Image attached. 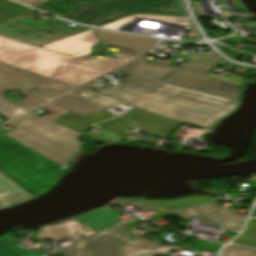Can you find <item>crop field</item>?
I'll return each mask as SVG.
<instances>
[{"mask_svg":"<svg viewBox=\"0 0 256 256\" xmlns=\"http://www.w3.org/2000/svg\"><path fill=\"white\" fill-rule=\"evenodd\" d=\"M117 83L121 84L118 88L86 85L74 93L105 108L123 103L206 129H212L222 117L237 107L228 104L229 100L135 76Z\"/></svg>","mask_w":256,"mask_h":256,"instance_id":"8a807250","label":"crop field"},{"mask_svg":"<svg viewBox=\"0 0 256 256\" xmlns=\"http://www.w3.org/2000/svg\"><path fill=\"white\" fill-rule=\"evenodd\" d=\"M0 61L79 86L129 61L71 58L0 36Z\"/></svg>","mask_w":256,"mask_h":256,"instance_id":"ac0d7876","label":"crop field"},{"mask_svg":"<svg viewBox=\"0 0 256 256\" xmlns=\"http://www.w3.org/2000/svg\"><path fill=\"white\" fill-rule=\"evenodd\" d=\"M33 7L97 27L137 13L185 16L180 0H45Z\"/></svg>","mask_w":256,"mask_h":256,"instance_id":"34b2d1b8","label":"crop field"},{"mask_svg":"<svg viewBox=\"0 0 256 256\" xmlns=\"http://www.w3.org/2000/svg\"><path fill=\"white\" fill-rule=\"evenodd\" d=\"M6 137L0 134V172L34 197L48 191L63 170L58 164Z\"/></svg>","mask_w":256,"mask_h":256,"instance_id":"412701ff","label":"crop field"},{"mask_svg":"<svg viewBox=\"0 0 256 256\" xmlns=\"http://www.w3.org/2000/svg\"><path fill=\"white\" fill-rule=\"evenodd\" d=\"M38 87L40 89L35 92L52 99L75 86L0 62V99L20 107L26 111L48 101L47 99L28 91L22 96L26 97L22 101L16 103L5 97L8 90L24 91Z\"/></svg>","mask_w":256,"mask_h":256,"instance_id":"f4fd0767","label":"crop field"},{"mask_svg":"<svg viewBox=\"0 0 256 256\" xmlns=\"http://www.w3.org/2000/svg\"><path fill=\"white\" fill-rule=\"evenodd\" d=\"M36 23L22 15L0 23V34L24 42L46 45L74 34L91 30L90 27H69L68 22L50 18Z\"/></svg>","mask_w":256,"mask_h":256,"instance_id":"dd49c442","label":"crop field"},{"mask_svg":"<svg viewBox=\"0 0 256 256\" xmlns=\"http://www.w3.org/2000/svg\"><path fill=\"white\" fill-rule=\"evenodd\" d=\"M221 58L213 51L202 58L193 56L187 65L168 83L233 99L238 96V84L203 76Z\"/></svg>","mask_w":256,"mask_h":256,"instance_id":"e52e79f7","label":"crop field"},{"mask_svg":"<svg viewBox=\"0 0 256 256\" xmlns=\"http://www.w3.org/2000/svg\"><path fill=\"white\" fill-rule=\"evenodd\" d=\"M7 124L17 128L6 134L7 136L26 144V146L60 164H65L70 158L78 153L77 149L17 119Z\"/></svg>","mask_w":256,"mask_h":256,"instance_id":"d8731c3e","label":"crop field"},{"mask_svg":"<svg viewBox=\"0 0 256 256\" xmlns=\"http://www.w3.org/2000/svg\"><path fill=\"white\" fill-rule=\"evenodd\" d=\"M129 239L131 238L128 231L123 229L121 226H116L64 248L60 250V252H62L65 256H87L112 242L121 244Z\"/></svg>","mask_w":256,"mask_h":256,"instance_id":"5a996713","label":"crop field"},{"mask_svg":"<svg viewBox=\"0 0 256 256\" xmlns=\"http://www.w3.org/2000/svg\"><path fill=\"white\" fill-rule=\"evenodd\" d=\"M102 44L111 45L134 51L133 56L140 57L153 50L159 40L132 36L127 34L103 31L95 29ZM119 53L130 55V51L119 49Z\"/></svg>","mask_w":256,"mask_h":256,"instance_id":"3316defc","label":"crop field"},{"mask_svg":"<svg viewBox=\"0 0 256 256\" xmlns=\"http://www.w3.org/2000/svg\"><path fill=\"white\" fill-rule=\"evenodd\" d=\"M184 57L185 54L177 53L168 60L157 59L153 64L144 63L141 61H135L116 72L125 73L129 75H135L150 80L165 83L178 69L168 67L176 57Z\"/></svg>","mask_w":256,"mask_h":256,"instance_id":"28ad6ade","label":"crop field"},{"mask_svg":"<svg viewBox=\"0 0 256 256\" xmlns=\"http://www.w3.org/2000/svg\"><path fill=\"white\" fill-rule=\"evenodd\" d=\"M120 116L136 124L142 129L158 136H165L182 122L166 118L141 109H133L129 114L124 113Z\"/></svg>","mask_w":256,"mask_h":256,"instance_id":"d1516ede","label":"crop field"},{"mask_svg":"<svg viewBox=\"0 0 256 256\" xmlns=\"http://www.w3.org/2000/svg\"><path fill=\"white\" fill-rule=\"evenodd\" d=\"M89 229L84 224L70 218L39 229V236L40 240L50 239L55 243L65 239L74 242L81 237L93 233Z\"/></svg>","mask_w":256,"mask_h":256,"instance_id":"22f410ed","label":"crop field"},{"mask_svg":"<svg viewBox=\"0 0 256 256\" xmlns=\"http://www.w3.org/2000/svg\"><path fill=\"white\" fill-rule=\"evenodd\" d=\"M129 205H143L155 209L173 212L183 217L185 221L188 220V217L191 216L220 211L217 203L180 207L175 200L140 201L125 204V206Z\"/></svg>","mask_w":256,"mask_h":256,"instance_id":"cbeb9de0","label":"crop field"},{"mask_svg":"<svg viewBox=\"0 0 256 256\" xmlns=\"http://www.w3.org/2000/svg\"><path fill=\"white\" fill-rule=\"evenodd\" d=\"M92 35L93 30L87 31L41 48L75 58L86 56L91 52Z\"/></svg>","mask_w":256,"mask_h":256,"instance_id":"5142ce71","label":"crop field"},{"mask_svg":"<svg viewBox=\"0 0 256 256\" xmlns=\"http://www.w3.org/2000/svg\"><path fill=\"white\" fill-rule=\"evenodd\" d=\"M18 119L76 147L80 148L82 145L78 142L77 138L79 133L73 132L59 124L52 121H48L42 117H39L31 112L19 117Z\"/></svg>","mask_w":256,"mask_h":256,"instance_id":"d9b57169","label":"crop field"},{"mask_svg":"<svg viewBox=\"0 0 256 256\" xmlns=\"http://www.w3.org/2000/svg\"><path fill=\"white\" fill-rule=\"evenodd\" d=\"M140 20L189 25L186 17L137 14L135 16L101 26V28L129 32L133 25Z\"/></svg>","mask_w":256,"mask_h":256,"instance_id":"733c2abd","label":"crop field"},{"mask_svg":"<svg viewBox=\"0 0 256 256\" xmlns=\"http://www.w3.org/2000/svg\"><path fill=\"white\" fill-rule=\"evenodd\" d=\"M120 215V213L108 208L107 206H104L73 218L81 221L92 229L99 231L109 225L121 221L118 219V216Z\"/></svg>","mask_w":256,"mask_h":256,"instance_id":"4a817a6b","label":"crop field"},{"mask_svg":"<svg viewBox=\"0 0 256 256\" xmlns=\"http://www.w3.org/2000/svg\"><path fill=\"white\" fill-rule=\"evenodd\" d=\"M168 249H180L176 246L166 245L159 248L155 247V243L143 239L133 240L122 246V256H156L165 255Z\"/></svg>","mask_w":256,"mask_h":256,"instance_id":"bc2a9ffb","label":"crop field"},{"mask_svg":"<svg viewBox=\"0 0 256 256\" xmlns=\"http://www.w3.org/2000/svg\"><path fill=\"white\" fill-rule=\"evenodd\" d=\"M216 225L223 226L227 231H238L242 228L247 216L238 215L232 208L217 213L198 216Z\"/></svg>","mask_w":256,"mask_h":256,"instance_id":"214f88e0","label":"crop field"},{"mask_svg":"<svg viewBox=\"0 0 256 256\" xmlns=\"http://www.w3.org/2000/svg\"><path fill=\"white\" fill-rule=\"evenodd\" d=\"M52 103L71 111L81 117L103 110L79 97L67 94Z\"/></svg>","mask_w":256,"mask_h":256,"instance_id":"92a150f3","label":"crop field"},{"mask_svg":"<svg viewBox=\"0 0 256 256\" xmlns=\"http://www.w3.org/2000/svg\"><path fill=\"white\" fill-rule=\"evenodd\" d=\"M52 121L57 122L61 125H64V126L70 128V129H72L76 132L85 134L89 137H92L96 140H99L103 143L109 142L108 140H105V139H102V138H99V137H96V136H93V135L82 132V131L87 130L90 127H92V126L89 125L92 122H90V121H88L84 118H81V117H79V116H77V115H75L71 112H68V113H66V114H64V115H62V116H60V117H58V118H56Z\"/></svg>","mask_w":256,"mask_h":256,"instance_id":"dafd665d","label":"crop field"},{"mask_svg":"<svg viewBox=\"0 0 256 256\" xmlns=\"http://www.w3.org/2000/svg\"><path fill=\"white\" fill-rule=\"evenodd\" d=\"M0 191L16 204L31 200L32 197L12 180L0 173Z\"/></svg>","mask_w":256,"mask_h":256,"instance_id":"00972430","label":"crop field"},{"mask_svg":"<svg viewBox=\"0 0 256 256\" xmlns=\"http://www.w3.org/2000/svg\"><path fill=\"white\" fill-rule=\"evenodd\" d=\"M17 242V239L5 236L0 239V256H42L46 254L44 251L38 253L33 252L32 250L23 251L22 249L14 246Z\"/></svg>","mask_w":256,"mask_h":256,"instance_id":"a9b5d70f","label":"crop field"},{"mask_svg":"<svg viewBox=\"0 0 256 256\" xmlns=\"http://www.w3.org/2000/svg\"><path fill=\"white\" fill-rule=\"evenodd\" d=\"M28 9L29 8L23 5L8 0H0V22L15 16L25 14Z\"/></svg>","mask_w":256,"mask_h":256,"instance_id":"4177f3b9","label":"crop field"},{"mask_svg":"<svg viewBox=\"0 0 256 256\" xmlns=\"http://www.w3.org/2000/svg\"><path fill=\"white\" fill-rule=\"evenodd\" d=\"M232 243L256 247V220L251 219L241 235Z\"/></svg>","mask_w":256,"mask_h":256,"instance_id":"730fd06b","label":"crop field"},{"mask_svg":"<svg viewBox=\"0 0 256 256\" xmlns=\"http://www.w3.org/2000/svg\"><path fill=\"white\" fill-rule=\"evenodd\" d=\"M221 256H256V250L234 245H227L222 251Z\"/></svg>","mask_w":256,"mask_h":256,"instance_id":"eef30255","label":"crop field"},{"mask_svg":"<svg viewBox=\"0 0 256 256\" xmlns=\"http://www.w3.org/2000/svg\"><path fill=\"white\" fill-rule=\"evenodd\" d=\"M0 105H1V108H0V114L9 118V119H12L26 111L20 109V108H17L13 105H10L4 101H1L0 100Z\"/></svg>","mask_w":256,"mask_h":256,"instance_id":"ae1a2a85","label":"crop field"},{"mask_svg":"<svg viewBox=\"0 0 256 256\" xmlns=\"http://www.w3.org/2000/svg\"><path fill=\"white\" fill-rule=\"evenodd\" d=\"M121 246L122 245L112 243L89 256H121Z\"/></svg>","mask_w":256,"mask_h":256,"instance_id":"d3111659","label":"crop field"},{"mask_svg":"<svg viewBox=\"0 0 256 256\" xmlns=\"http://www.w3.org/2000/svg\"><path fill=\"white\" fill-rule=\"evenodd\" d=\"M41 109H43L47 112H50L49 114L43 116V117H45L49 120H52V119H54V118H56V117H58V116H60L64 113L68 112V111H66V110H64V109H62V108H60V107H58V106H56L52 103H49L47 105L42 106Z\"/></svg>","mask_w":256,"mask_h":256,"instance_id":"750c4746","label":"crop field"},{"mask_svg":"<svg viewBox=\"0 0 256 256\" xmlns=\"http://www.w3.org/2000/svg\"><path fill=\"white\" fill-rule=\"evenodd\" d=\"M113 116H115V115L103 110V111H100L98 113L89 115V116L84 117V118H86V119H88L92 122L99 123V122H101L103 120H106V119H108L110 117H113Z\"/></svg>","mask_w":256,"mask_h":256,"instance_id":"bd1437ed","label":"crop field"},{"mask_svg":"<svg viewBox=\"0 0 256 256\" xmlns=\"http://www.w3.org/2000/svg\"><path fill=\"white\" fill-rule=\"evenodd\" d=\"M126 124H128V122H126V121H124V120H122L120 118H117V119H113V120H110L108 122L102 123L101 125L105 129L111 131V130H113L115 128L121 127V126L126 125Z\"/></svg>","mask_w":256,"mask_h":256,"instance_id":"1d83c4d3","label":"crop field"},{"mask_svg":"<svg viewBox=\"0 0 256 256\" xmlns=\"http://www.w3.org/2000/svg\"><path fill=\"white\" fill-rule=\"evenodd\" d=\"M15 205L10 199L0 192V209Z\"/></svg>","mask_w":256,"mask_h":256,"instance_id":"120bbe31","label":"crop field"},{"mask_svg":"<svg viewBox=\"0 0 256 256\" xmlns=\"http://www.w3.org/2000/svg\"><path fill=\"white\" fill-rule=\"evenodd\" d=\"M90 155V153L81 154L73 161V163L78 167L81 164L85 163L87 159L90 157Z\"/></svg>","mask_w":256,"mask_h":256,"instance_id":"d32e631a","label":"crop field"},{"mask_svg":"<svg viewBox=\"0 0 256 256\" xmlns=\"http://www.w3.org/2000/svg\"><path fill=\"white\" fill-rule=\"evenodd\" d=\"M17 1H20V2H22L24 4L29 5V6H33V5L39 3L42 0H17Z\"/></svg>","mask_w":256,"mask_h":256,"instance_id":"5866460e","label":"crop field"},{"mask_svg":"<svg viewBox=\"0 0 256 256\" xmlns=\"http://www.w3.org/2000/svg\"><path fill=\"white\" fill-rule=\"evenodd\" d=\"M113 55L118 56L117 59H125V60H134V59H136V58H133V57H130V56L116 54V53H113ZM104 58H108V57H104ZM110 59H114V58H110Z\"/></svg>","mask_w":256,"mask_h":256,"instance_id":"028f5c9d","label":"crop field"},{"mask_svg":"<svg viewBox=\"0 0 256 256\" xmlns=\"http://www.w3.org/2000/svg\"><path fill=\"white\" fill-rule=\"evenodd\" d=\"M98 42V40H97V38H96V36H95V34H94V36H93V44H92V46L94 45V44H96Z\"/></svg>","mask_w":256,"mask_h":256,"instance_id":"e1f06a70","label":"crop field"}]
</instances>
